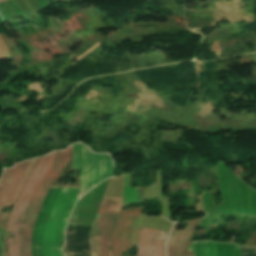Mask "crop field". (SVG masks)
Wrapping results in <instances>:
<instances>
[{
  "instance_id": "7",
  "label": "crop field",
  "mask_w": 256,
  "mask_h": 256,
  "mask_svg": "<svg viewBox=\"0 0 256 256\" xmlns=\"http://www.w3.org/2000/svg\"><path fill=\"white\" fill-rule=\"evenodd\" d=\"M170 230L143 226L138 236L137 256H166L165 243Z\"/></svg>"
},
{
  "instance_id": "10",
  "label": "crop field",
  "mask_w": 256,
  "mask_h": 256,
  "mask_svg": "<svg viewBox=\"0 0 256 256\" xmlns=\"http://www.w3.org/2000/svg\"><path fill=\"white\" fill-rule=\"evenodd\" d=\"M8 216L9 215L0 214V227L4 228ZM2 228H0V256H3V254H2V241H3L4 229H2Z\"/></svg>"
},
{
  "instance_id": "11",
  "label": "crop field",
  "mask_w": 256,
  "mask_h": 256,
  "mask_svg": "<svg viewBox=\"0 0 256 256\" xmlns=\"http://www.w3.org/2000/svg\"><path fill=\"white\" fill-rule=\"evenodd\" d=\"M2 58H10V56L4 45L2 38L0 37V59Z\"/></svg>"
},
{
  "instance_id": "5",
  "label": "crop field",
  "mask_w": 256,
  "mask_h": 256,
  "mask_svg": "<svg viewBox=\"0 0 256 256\" xmlns=\"http://www.w3.org/2000/svg\"><path fill=\"white\" fill-rule=\"evenodd\" d=\"M37 159L29 160L15 165L14 168L5 169L0 179V210L2 207L10 206L26 176L36 165Z\"/></svg>"
},
{
  "instance_id": "1",
  "label": "crop field",
  "mask_w": 256,
  "mask_h": 256,
  "mask_svg": "<svg viewBox=\"0 0 256 256\" xmlns=\"http://www.w3.org/2000/svg\"><path fill=\"white\" fill-rule=\"evenodd\" d=\"M70 153L71 147L41 158L26 179L7 223L5 256H32L33 226L50 187L68 162Z\"/></svg>"
},
{
  "instance_id": "12",
  "label": "crop field",
  "mask_w": 256,
  "mask_h": 256,
  "mask_svg": "<svg viewBox=\"0 0 256 256\" xmlns=\"http://www.w3.org/2000/svg\"><path fill=\"white\" fill-rule=\"evenodd\" d=\"M241 256H256V249L240 247Z\"/></svg>"
},
{
  "instance_id": "8",
  "label": "crop field",
  "mask_w": 256,
  "mask_h": 256,
  "mask_svg": "<svg viewBox=\"0 0 256 256\" xmlns=\"http://www.w3.org/2000/svg\"><path fill=\"white\" fill-rule=\"evenodd\" d=\"M198 220L188 223L185 229L178 230L174 236L169 237L167 243L168 256H191L190 241Z\"/></svg>"
},
{
  "instance_id": "4",
  "label": "crop field",
  "mask_w": 256,
  "mask_h": 256,
  "mask_svg": "<svg viewBox=\"0 0 256 256\" xmlns=\"http://www.w3.org/2000/svg\"><path fill=\"white\" fill-rule=\"evenodd\" d=\"M122 203L103 199L89 235L91 256H111L109 233Z\"/></svg>"
},
{
  "instance_id": "13",
  "label": "crop field",
  "mask_w": 256,
  "mask_h": 256,
  "mask_svg": "<svg viewBox=\"0 0 256 256\" xmlns=\"http://www.w3.org/2000/svg\"><path fill=\"white\" fill-rule=\"evenodd\" d=\"M0 1H4V0H0Z\"/></svg>"
},
{
  "instance_id": "3",
  "label": "crop field",
  "mask_w": 256,
  "mask_h": 256,
  "mask_svg": "<svg viewBox=\"0 0 256 256\" xmlns=\"http://www.w3.org/2000/svg\"><path fill=\"white\" fill-rule=\"evenodd\" d=\"M73 168L80 169L78 198L101 180L113 177L110 156L108 154H94L81 143L73 145Z\"/></svg>"
},
{
  "instance_id": "2",
  "label": "crop field",
  "mask_w": 256,
  "mask_h": 256,
  "mask_svg": "<svg viewBox=\"0 0 256 256\" xmlns=\"http://www.w3.org/2000/svg\"><path fill=\"white\" fill-rule=\"evenodd\" d=\"M78 188L52 187L33 232V256H62L63 228L76 201Z\"/></svg>"
},
{
  "instance_id": "9",
  "label": "crop field",
  "mask_w": 256,
  "mask_h": 256,
  "mask_svg": "<svg viewBox=\"0 0 256 256\" xmlns=\"http://www.w3.org/2000/svg\"><path fill=\"white\" fill-rule=\"evenodd\" d=\"M194 256H240L239 246L214 241L193 243Z\"/></svg>"
},
{
  "instance_id": "6",
  "label": "crop field",
  "mask_w": 256,
  "mask_h": 256,
  "mask_svg": "<svg viewBox=\"0 0 256 256\" xmlns=\"http://www.w3.org/2000/svg\"><path fill=\"white\" fill-rule=\"evenodd\" d=\"M141 209L133 208L130 214L119 213L111 234L113 256H121L123 251L131 248L130 236L134 230Z\"/></svg>"
}]
</instances>
